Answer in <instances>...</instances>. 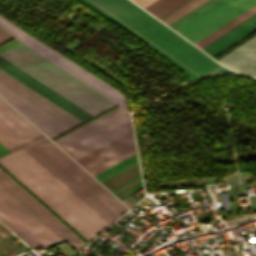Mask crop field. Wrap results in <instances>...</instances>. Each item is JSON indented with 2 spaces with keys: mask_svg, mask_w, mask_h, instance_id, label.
Returning a JSON list of instances; mask_svg holds the SVG:
<instances>
[{
  "mask_svg": "<svg viewBox=\"0 0 256 256\" xmlns=\"http://www.w3.org/2000/svg\"><path fill=\"white\" fill-rule=\"evenodd\" d=\"M44 137L0 98V143L10 151ZM0 144V157L9 153ZM110 224L127 208L59 150L47 137L25 147ZM24 148L2 163L89 241L110 225Z\"/></svg>",
  "mask_w": 256,
  "mask_h": 256,
  "instance_id": "1",
  "label": "crop field"
},
{
  "mask_svg": "<svg viewBox=\"0 0 256 256\" xmlns=\"http://www.w3.org/2000/svg\"><path fill=\"white\" fill-rule=\"evenodd\" d=\"M0 56L92 116L115 105L22 44ZM0 95L50 138L70 129L1 83Z\"/></svg>",
  "mask_w": 256,
  "mask_h": 256,
  "instance_id": "2",
  "label": "crop field"
},
{
  "mask_svg": "<svg viewBox=\"0 0 256 256\" xmlns=\"http://www.w3.org/2000/svg\"><path fill=\"white\" fill-rule=\"evenodd\" d=\"M144 41L191 80L203 74L230 71L217 64L130 0H80Z\"/></svg>",
  "mask_w": 256,
  "mask_h": 256,
  "instance_id": "3",
  "label": "crop field"
},
{
  "mask_svg": "<svg viewBox=\"0 0 256 256\" xmlns=\"http://www.w3.org/2000/svg\"><path fill=\"white\" fill-rule=\"evenodd\" d=\"M130 133V118L127 117L64 151L77 161ZM135 154L130 134L77 162L94 175Z\"/></svg>",
  "mask_w": 256,
  "mask_h": 256,
  "instance_id": "4",
  "label": "crop field"
},
{
  "mask_svg": "<svg viewBox=\"0 0 256 256\" xmlns=\"http://www.w3.org/2000/svg\"><path fill=\"white\" fill-rule=\"evenodd\" d=\"M0 26L3 27L6 31L12 34L15 38L20 40L22 43L39 53L41 56L46 58L47 60L51 61L52 63L56 64L57 66L63 68L64 70L68 71L69 73L73 74L74 76L78 77L89 86L94 88L95 90L99 91L103 95L107 96L123 108H126L125 100L123 94L115 90L113 87L108 85L107 83L101 81L100 79L96 78L95 76L89 74L88 72L84 71L78 65L74 64L70 60L66 59L62 55L58 54L57 52L51 50L50 48L46 47L38 40L18 28L16 25L5 19L0 15ZM77 78V79H78Z\"/></svg>",
  "mask_w": 256,
  "mask_h": 256,
  "instance_id": "5",
  "label": "crop field"
},
{
  "mask_svg": "<svg viewBox=\"0 0 256 256\" xmlns=\"http://www.w3.org/2000/svg\"><path fill=\"white\" fill-rule=\"evenodd\" d=\"M254 4L256 0H219L174 30L194 44Z\"/></svg>",
  "mask_w": 256,
  "mask_h": 256,
  "instance_id": "6",
  "label": "crop field"
},
{
  "mask_svg": "<svg viewBox=\"0 0 256 256\" xmlns=\"http://www.w3.org/2000/svg\"><path fill=\"white\" fill-rule=\"evenodd\" d=\"M0 185L31 213H33L39 220H41L47 227H49L55 234H57L59 237L62 236L77 251L85 245L34 199H32L26 192H24L17 184H15L9 177H7L1 170Z\"/></svg>",
  "mask_w": 256,
  "mask_h": 256,
  "instance_id": "7",
  "label": "crop field"
},
{
  "mask_svg": "<svg viewBox=\"0 0 256 256\" xmlns=\"http://www.w3.org/2000/svg\"><path fill=\"white\" fill-rule=\"evenodd\" d=\"M0 82L68 127L81 123L1 70Z\"/></svg>",
  "mask_w": 256,
  "mask_h": 256,
  "instance_id": "8",
  "label": "crop field"
},
{
  "mask_svg": "<svg viewBox=\"0 0 256 256\" xmlns=\"http://www.w3.org/2000/svg\"><path fill=\"white\" fill-rule=\"evenodd\" d=\"M127 116L129 113L118 107L54 142L64 150Z\"/></svg>",
  "mask_w": 256,
  "mask_h": 256,
  "instance_id": "9",
  "label": "crop field"
},
{
  "mask_svg": "<svg viewBox=\"0 0 256 256\" xmlns=\"http://www.w3.org/2000/svg\"><path fill=\"white\" fill-rule=\"evenodd\" d=\"M220 61L242 72L256 75V36Z\"/></svg>",
  "mask_w": 256,
  "mask_h": 256,
  "instance_id": "10",
  "label": "crop field"
},
{
  "mask_svg": "<svg viewBox=\"0 0 256 256\" xmlns=\"http://www.w3.org/2000/svg\"><path fill=\"white\" fill-rule=\"evenodd\" d=\"M255 28L256 14L202 50L212 56Z\"/></svg>",
  "mask_w": 256,
  "mask_h": 256,
  "instance_id": "11",
  "label": "crop field"
},
{
  "mask_svg": "<svg viewBox=\"0 0 256 256\" xmlns=\"http://www.w3.org/2000/svg\"><path fill=\"white\" fill-rule=\"evenodd\" d=\"M0 209L3 210L9 217L12 216L10 212H8L2 205H0ZM2 211V212H3ZM0 211V218L6 216ZM7 218V217H5ZM3 218V219H5ZM1 219V220H3ZM0 220V221H1ZM8 228H10L15 234L20 236L24 241H26L30 246L36 248L38 246H47L44 242H42L36 235H34L27 227H25L19 220H17L14 216L2 221ZM31 247V248H32Z\"/></svg>",
  "mask_w": 256,
  "mask_h": 256,
  "instance_id": "12",
  "label": "crop field"
},
{
  "mask_svg": "<svg viewBox=\"0 0 256 256\" xmlns=\"http://www.w3.org/2000/svg\"><path fill=\"white\" fill-rule=\"evenodd\" d=\"M255 13H256V5H254L253 7H251L250 9H248L247 11H245L235 19L231 20L230 22H228L227 24H225L215 32L211 33L201 41L197 42L195 45L201 49L204 48L205 46H207L208 44H210L211 42H213L214 40H216L217 38H219L220 36L228 32L229 30H231L241 22L245 21Z\"/></svg>",
  "mask_w": 256,
  "mask_h": 256,
  "instance_id": "13",
  "label": "crop field"
},
{
  "mask_svg": "<svg viewBox=\"0 0 256 256\" xmlns=\"http://www.w3.org/2000/svg\"><path fill=\"white\" fill-rule=\"evenodd\" d=\"M184 1L185 0H157L144 9L159 18Z\"/></svg>",
  "mask_w": 256,
  "mask_h": 256,
  "instance_id": "14",
  "label": "crop field"
},
{
  "mask_svg": "<svg viewBox=\"0 0 256 256\" xmlns=\"http://www.w3.org/2000/svg\"><path fill=\"white\" fill-rule=\"evenodd\" d=\"M216 1H218V0H207L203 4L199 5L198 7H196L195 9H193L189 13L185 14L184 16H182L181 18H179L178 20H176L175 22L171 23L168 26H170L173 29L176 28L177 26L184 23L185 21H187L188 19H190L191 17H193L197 13L201 12L202 10H204L205 8L210 6L211 4L215 3Z\"/></svg>",
  "mask_w": 256,
  "mask_h": 256,
  "instance_id": "15",
  "label": "crop field"
},
{
  "mask_svg": "<svg viewBox=\"0 0 256 256\" xmlns=\"http://www.w3.org/2000/svg\"><path fill=\"white\" fill-rule=\"evenodd\" d=\"M204 1H206V0H194L193 2H191L190 4H188L187 6H185L184 8H182L181 10H179L175 14L171 15L170 17H168L167 19H165L162 22H164L165 24L168 25Z\"/></svg>",
  "mask_w": 256,
  "mask_h": 256,
  "instance_id": "16",
  "label": "crop field"
},
{
  "mask_svg": "<svg viewBox=\"0 0 256 256\" xmlns=\"http://www.w3.org/2000/svg\"><path fill=\"white\" fill-rule=\"evenodd\" d=\"M11 36L8 32H6L4 29L0 27V43L11 38Z\"/></svg>",
  "mask_w": 256,
  "mask_h": 256,
  "instance_id": "17",
  "label": "crop field"
},
{
  "mask_svg": "<svg viewBox=\"0 0 256 256\" xmlns=\"http://www.w3.org/2000/svg\"><path fill=\"white\" fill-rule=\"evenodd\" d=\"M134 2H136L137 4H139L141 7H146L147 5H149L150 3L154 2L155 0H133Z\"/></svg>",
  "mask_w": 256,
  "mask_h": 256,
  "instance_id": "18",
  "label": "crop field"
},
{
  "mask_svg": "<svg viewBox=\"0 0 256 256\" xmlns=\"http://www.w3.org/2000/svg\"><path fill=\"white\" fill-rule=\"evenodd\" d=\"M9 233L11 232L8 231L2 224H0V238L6 236Z\"/></svg>",
  "mask_w": 256,
  "mask_h": 256,
  "instance_id": "19",
  "label": "crop field"
}]
</instances>
